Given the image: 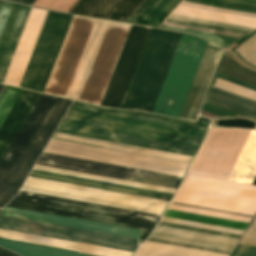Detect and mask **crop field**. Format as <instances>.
I'll return each instance as SVG.
<instances>
[{
  "label": "crop field",
  "mask_w": 256,
  "mask_h": 256,
  "mask_svg": "<svg viewBox=\"0 0 256 256\" xmlns=\"http://www.w3.org/2000/svg\"><path fill=\"white\" fill-rule=\"evenodd\" d=\"M129 28L73 18L44 91L100 103Z\"/></svg>",
  "instance_id": "obj_1"
},
{
  "label": "crop field",
  "mask_w": 256,
  "mask_h": 256,
  "mask_svg": "<svg viewBox=\"0 0 256 256\" xmlns=\"http://www.w3.org/2000/svg\"><path fill=\"white\" fill-rule=\"evenodd\" d=\"M22 191L161 215L167 203L158 200L28 177ZM7 205L151 231L158 215L22 192Z\"/></svg>",
  "instance_id": "obj_2"
},
{
  "label": "crop field",
  "mask_w": 256,
  "mask_h": 256,
  "mask_svg": "<svg viewBox=\"0 0 256 256\" xmlns=\"http://www.w3.org/2000/svg\"><path fill=\"white\" fill-rule=\"evenodd\" d=\"M57 131L194 156L206 127L73 103Z\"/></svg>",
  "instance_id": "obj_3"
},
{
  "label": "crop field",
  "mask_w": 256,
  "mask_h": 256,
  "mask_svg": "<svg viewBox=\"0 0 256 256\" xmlns=\"http://www.w3.org/2000/svg\"><path fill=\"white\" fill-rule=\"evenodd\" d=\"M47 12L31 9L3 83L20 86ZM70 16L48 12L20 87L42 91Z\"/></svg>",
  "instance_id": "obj_4"
},
{
  "label": "crop field",
  "mask_w": 256,
  "mask_h": 256,
  "mask_svg": "<svg viewBox=\"0 0 256 256\" xmlns=\"http://www.w3.org/2000/svg\"><path fill=\"white\" fill-rule=\"evenodd\" d=\"M251 130L210 128L189 174L227 180ZM256 175V132L251 131L228 180L251 184Z\"/></svg>",
  "instance_id": "obj_5"
},
{
  "label": "crop field",
  "mask_w": 256,
  "mask_h": 256,
  "mask_svg": "<svg viewBox=\"0 0 256 256\" xmlns=\"http://www.w3.org/2000/svg\"><path fill=\"white\" fill-rule=\"evenodd\" d=\"M181 34L151 29L121 108L152 112Z\"/></svg>",
  "instance_id": "obj_6"
},
{
  "label": "crop field",
  "mask_w": 256,
  "mask_h": 256,
  "mask_svg": "<svg viewBox=\"0 0 256 256\" xmlns=\"http://www.w3.org/2000/svg\"><path fill=\"white\" fill-rule=\"evenodd\" d=\"M182 1L256 15V5H252V4H256V0H236V1H241V2L252 3V4L241 3V2L230 1V0H182ZM179 7L174 9L170 14L256 29V22H252L255 19L252 20V21H247L250 18L247 19V20H242L245 17L242 18V19H237L239 16L237 18H231L234 15L231 16V17H226L229 14L226 15V16H221L222 14L221 15H216L218 12L216 14H211L213 11L211 13H205L208 10L205 11V12H200L202 9L200 11H195L197 8L195 10H190L192 7L190 9H184L186 6L184 8H179ZM172 15H169V18L185 20V21H190V22H195V23H200V24H205V25H211V26H216V27H221V28H226V29H231V30H237V31H242V32H247V33H250V32L253 31L252 29L240 28V27H235V26L223 25V24H218V23L206 22V21L189 19V18L172 16ZM169 18H166L165 21L166 22L177 23V24H182V25H188V26H193V27L209 29V30H215V31H220V32H226V33H231V34H236V35H242V36L247 35V33L231 31V30H226V29H221V28H216V27H211V26H205V25H200V24H195V23H190V22H185V21H179V20H174V19H169ZM166 22L161 23V25L162 26L179 28V29L191 30V31H196V32H202V33H207V34L219 35V36H224V37L236 38V39L242 38V36H236V35L220 33V32H215V31H209V30L193 28V27H188V26H182V25L166 23ZM162 26H159V27L160 28H165V29L185 31V30H179V29L162 27ZM191 31H185V32H190V33H193L195 35L206 38V39H208V40H210V41H212V42H214V43H216V44H218V45H220L224 48L228 47L229 45H231L232 43L237 41L236 39H230V38H224V37H219V36L207 35V34H202V33L191 32Z\"/></svg>",
  "instance_id": "obj_7"
},
{
  "label": "crop field",
  "mask_w": 256,
  "mask_h": 256,
  "mask_svg": "<svg viewBox=\"0 0 256 256\" xmlns=\"http://www.w3.org/2000/svg\"><path fill=\"white\" fill-rule=\"evenodd\" d=\"M173 201L254 215L256 186L186 175Z\"/></svg>",
  "instance_id": "obj_8"
},
{
  "label": "crop field",
  "mask_w": 256,
  "mask_h": 256,
  "mask_svg": "<svg viewBox=\"0 0 256 256\" xmlns=\"http://www.w3.org/2000/svg\"><path fill=\"white\" fill-rule=\"evenodd\" d=\"M206 43L182 34L152 113L178 117Z\"/></svg>",
  "instance_id": "obj_9"
},
{
  "label": "crop field",
  "mask_w": 256,
  "mask_h": 256,
  "mask_svg": "<svg viewBox=\"0 0 256 256\" xmlns=\"http://www.w3.org/2000/svg\"><path fill=\"white\" fill-rule=\"evenodd\" d=\"M0 229L133 252L138 241L0 215Z\"/></svg>",
  "instance_id": "obj_10"
},
{
  "label": "crop field",
  "mask_w": 256,
  "mask_h": 256,
  "mask_svg": "<svg viewBox=\"0 0 256 256\" xmlns=\"http://www.w3.org/2000/svg\"><path fill=\"white\" fill-rule=\"evenodd\" d=\"M37 164L173 189H176L178 183L181 180L180 177L168 176L45 153L41 155Z\"/></svg>",
  "instance_id": "obj_11"
},
{
  "label": "crop field",
  "mask_w": 256,
  "mask_h": 256,
  "mask_svg": "<svg viewBox=\"0 0 256 256\" xmlns=\"http://www.w3.org/2000/svg\"><path fill=\"white\" fill-rule=\"evenodd\" d=\"M72 101L57 98L39 130L0 192V208L18 192L45 144L54 132Z\"/></svg>",
  "instance_id": "obj_12"
},
{
  "label": "crop field",
  "mask_w": 256,
  "mask_h": 256,
  "mask_svg": "<svg viewBox=\"0 0 256 256\" xmlns=\"http://www.w3.org/2000/svg\"><path fill=\"white\" fill-rule=\"evenodd\" d=\"M158 225L179 228V229L192 230V231H198V232H204V233H210V234L229 236V237H235V238L240 237L238 235L214 232V231H209V230L191 228V227L162 223V222H160ZM161 226H157L155 231L152 233V236L149 238L170 241V242H176V243H182V244H188V245L199 246V247H205V248H211V249H217V250H223V251H229V252L232 251L233 247H235V245L238 241V239H235V238L210 235V234H204V233H198V232H192V231H186V230H179V229H173V228H167V227H161ZM152 239H147V240L230 255L229 252L193 247V246H188V245H182V244H176V243H170V242H164V241H158V240H152Z\"/></svg>",
  "instance_id": "obj_13"
},
{
  "label": "crop field",
  "mask_w": 256,
  "mask_h": 256,
  "mask_svg": "<svg viewBox=\"0 0 256 256\" xmlns=\"http://www.w3.org/2000/svg\"><path fill=\"white\" fill-rule=\"evenodd\" d=\"M149 28L132 25L101 106L118 108Z\"/></svg>",
  "instance_id": "obj_14"
},
{
  "label": "crop field",
  "mask_w": 256,
  "mask_h": 256,
  "mask_svg": "<svg viewBox=\"0 0 256 256\" xmlns=\"http://www.w3.org/2000/svg\"><path fill=\"white\" fill-rule=\"evenodd\" d=\"M56 98L40 94L16 136L0 160V190L38 130Z\"/></svg>",
  "instance_id": "obj_15"
},
{
  "label": "crop field",
  "mask_w": 256,
  "mask_h": 256,
  "mask_svg": "<svg viewBox=\"0 0 256 256\" xmlns=\"http://www.w3.org/2000/svg\"><path fill=\"white\" fill-rule=\"evenodd\" d=\"M171 204L179 205V206H185V207L198 208V209L211 210V211H217V212L230 213V214H237V213H232V212L220 211V210H215V209H209V208L186 205V204H180V203H174V202H171ZM173 205H169L168 209L169 210H175V211H181V212H187V213H193V214H199V215H205V216H210V217H216V218L246 222V223H249V221L251 220V218H249V217H252V216L243 215V214H237V215H243V216H249V217L230 215V214H224V213H217V212L198 210V209H192V208H185V207H179V206H173ZM169 210H166V212L164 214L165 217L189 220V221H194V222L212 224V225L235 228V229H241V230H244V228L247 225L246 223H240V222L210 218V217H205V216H199V215H193V214H187V213H181V212H175V211H169ZM165 217H162V219H161L162 222L186 225V226H191V227L209 229V230L232 233V234H238V235H241V233H242L241 230L217 227V226H212V225L194 223V222L171 219V218H165Z\"/></svg>",
  "instance_id": "obj_16"
},
{
  "label": "crop field",
  "mask_w": 256,
  "mask_h": 256,
  "mask_svg": "<svg viewBox=\"0 0 256 256\" xmlns=\"http://www.w3.org/2000/svg\"><path fill=\"white\" fill-rule=\"evenodd\" d=\"M31 8L0 0V83Z\"/></svg>",
  "instance_id": "obj_17"
},
{
  "label": "crop field",
  "mask_w": 256,
  "mask_h": 256,
  "mask_svg": "<svg viewBox=\"0 0 256 256\" xmlns=\"http://www.w3.org/2000/svg\"><path fill=\"white\" fill-rule=\"evenodd\" d=\"M222 48L207 43L178 118L194 121Z\"/></svg>",
  "instance_id": "obj_18"
},
{
  "label": "crop field",
  "mask_w": 256,
  "mask_h": 256,
  "mask_svg": "<svg viewBox=\"0 0 256 256\" xmlns=\"http://www.w3.org/2000/svg\"><path fill=\"white\" fill-rule=\"evenodd\" d=\"M2 215L14 216L19 218H25L30 220L42 221L47 223H53L58 225L70 226L75 228H81L86 230L98 231L103 233H109L114 235L126 236L131 238H140V230L122 228L117 226L99 224L94 222L76 220L71 218L53 216L48 214L30 212L25 210L13 209L4 207L1 211Z\"/></svg>",
  "instance_id": "obj_19"
},
{
  "label": "crop field",
  "mask_w": 256,
  "mask_h": 256,
  "mask_svg": "<svg viewBox=\"0 0 256 256\" xmlns=\"http://www.w3.org/2000/svg\"><path fill=\"white\" fill-rule=\"evenodd\" d=\"M144 0H80L70 13L126 22Z\"/></svg>",
  "instance_id": "obj_20"
},
{
  "label": "crop field",
  "mask_w": 256,
  "mask_h": 256,
  "mask_svg": "<svg viewBox=\"0 0 256 256\" xmlns=\"http://www.w3.org/2000/svg\"><path fill=\"white\" fill-rule=\"evenodd\" d=\"M39 94L23 90L0 128V159L18 131Z\"/></svg>",
  "instance_id": "obj_21"
},
{
  "label": "crop field",
  "mask_w": 256,
  "mask_h": 256,
  "mask_svg": "<svg viewBox=\"0 0 256 256\" xmlns=\"http://www.w3.org/2000/svg\"><path fill=\"white\" fill-rule=\"evenodd\" d=\"M207 103L256 119V101L211 87Z\"/></svg>",
  "instance_id": "obj_22"
},
{
  "label": "crop field",
  "mask_w": 256,
  "mask_h": 256,
  "mask_svg": "<svg viewBox=\"0 0 256 256\" xmlns=\"http://www.w3.org/2000/svg\"><path fill=\"white\" fill-rule=\"evenodd\" d=\"M53 138L60 139V140H66V141H72V142H78V143H83V144L107 147V148H112V149L130 151V152H135V153L159 156V157H164V158L188 161V162H190L192 159L191 156H185V155L163 152V151H158V150H152V149H147V148H141V147H136V146L124 145V144H119V143H113V142L102 141V140L91 139V138H86V137L58 133V132H55Z\"/></svg>",
  "instance_id": "obj_23"
},
{
  "label": "crop field",
  "mask_w": 256,
  "mask_h": 256,
  "mask_svg": "<svg viewBox=\"0 0 256 256\" xmlns=\"http://www.w3.org/2000/svg\"><path fill=\"white\" fill-rule=\"evenodd\" d=\"M134 256H227L145 241Z\"/></svg>",
  "instance_id": "obj_24"
},
{
  "label": "crop field",
  "mask_w": 256,
  "mask_h": 256,
  "mask_svg": "<svg viewBox=\"0 0 256 256\" xmlns=\"http://www.w3.org/2000/svg\"><path fill=\"white\" fill-rule=\"evenodd\" d=\"M151 0H145L142 5L135 11V13L130 17L132 19H136L138 15L143 11V9L149 4ZM160 0H152L150 4L144 9V11L139 15L137 19L143 20L146 15L154 8V6L159 2ZM167 0H161L155 8L147 15V17L144 20H150L152 16L160 9V7L166 2ZM173 0H168L161 9L153 16V18L150 21H155L158 16L166 9V7L172 2ZM180 0H174L167 9L159 16V18L156 20L158 22H161L165 16L175 7V5ZM167 17V16H166ZM129 19L127 22L129 23H136V24H143V25H150V26H157L159 23L156 22H146V21H139V20H132Z\"/></svg>",
  "instance_id": "obj_25"
},
{
  "label": "crop field",
  "mask_w": 256,
  "mask_h": 256,
  "mask_svg": "<svg viewBox=\"0 0 256 256\" xmlns=\"http://www.w3.org/2000/svg\"><path fill=\"white\" fill-rule=\"evenodd\" d=\"M0 245L22 256H92L4 239H0Z\"/></svg>",
  "instance_id": "obj_26"
},
{
  "label": "crop field",
  "mask_w": 256,
  "mask_h": 256,
  "mask_svg": "<svg viewBox=\"0 0 256 256\" xmlns=\"http://www.w3.org/2000/svg\"><path fill=\"white\" fill-rule=\"evenodd\" d=\"M34 169L35 170H41V171H47V172H53V173H59V174H65V175H70V176L94 179V180H99V181H105V182L129 185V186H134V187H140V188L164 191V192H167V193H170V194H173L174 191H175L173 189L161 188V187H156V186H150V185H145V184L133 183V182H128V181H122V180H117V179L105 178V177H100V176H94V175H89V174L77 173V172L66 171V170L55 169V168H49V167L38 166V165H35Z\"/></svg>",
  "instance_id": "obj_27"
},
{
  "label": "crop field",
  "mask_w": 256,
  "mask_h": 256,
  "mask_svg": "<svg viewBox=\"0 0 256 256\" xmlns=\"http://www.w3.org/2000/svg\"><path fill=\"white\" fill-rule=\"evenodd\" d=\"M22 90L6 86L0 95V126L7 117Z\"/></svg>",
  "instance_id": "obj_28"
},
{
  "label": "crop field",
  "mask_w": 256,
  "mask_h": 256,
  "mask_svg": "<svg viewBox=\"0 0 256 256\" xmlns=\"http://www.w3.org/2000/svg\"><path fill=\"white\" fill-rule=\"evenodd\" d=\"M233 50L248 63L256 66V33L236 46Z\"/></svg>",
  "instance_id": "obj_29"
},
{
  "label": "crop field",
  "mask_w": 256,
  "mask_h": 256,
  "mask_svg": "<svg viewBox=\"0 0 256 256\" xmlns=\"http://www.w3.org/2000/svg\"><path fill=\"white\" fill-rule=\"evenodd\" d=\"M32 173H33V174H39V175H45V176L56 177V178L74 180V181H79V182L91 183V184H96V185L114 187V188H119V189L137 191V192H142V193L160 195V196H163V197H164V195H165L164 193H159V192L147 191V190H142V189H136V188H131V187L119 186V185H114V184H108V183H103V182L91 181V180H86V179H80V178L69 177V176H63V175L52 174V173L41 172V171H35V170H33Z\"/></svg>",
  "instance_id": "obj_30"
},
{
  "label": "crop field",
  "mask_w": 256,
  "mask_h": 256,
  "mask_svg": "<svg viewBox=\"0 0 256 256\" xmlns=\"http://www.w3.org/2000/svg\"><path fill=\"white\" fill-rule=\"evenodd\" d=\"M239 243L256 246V219L247 230L244 231Z\"/></svg>",
  "instance_id": "obj_31"
},
{
  "label": "crop field",
  "mask_w": 256,
  "mask_h": 256,
  "mask_svg": "<svg viewBox=\"0 0 256 256\" xmlns=\"http://www.w3.org/2000/svg\"><path fill=\"white\" fill-rule=\"evenodd\" d=\"M230 256H256V247L237 244Z\"/></svg>",
  "instance_id": "obj_32"
},
{
  "label": "crop field",
  "mask_w": 256,
  "mask_h": 256,
  "mask_svg": "<svg viewBox=\"0 0 256 256\" xmlns=\"http://www.w3.org/2000/svg\"><path fill=\"white\" fill-rule=\"evenodd\" d=\"M216 78L218 79H221V80H224V81H227L229 83H232V84H235V85H238V86H241V87H244V88H247L249 90H252V91H255L256 92V87L255 86H252L250 84H247V83H244V82H241V81H238V80H235V79H232V78H229L227 76H224V75H221V74H216L215 76V79H214V82L216 80ZM214 82L212 85H214Z\"/></svg>",
  "instance_id": "obj_33"
},
{
  "label": "crop field",
  "mask_w": 256,
  "mask_h": 256,
  "mask_svg": "<svg viewBox=\"0 0 256 256\" xmlns=\"http://www.w3.org/2000/svg\"><path fill=\"white\" fill-rule=\"evenodd\" d=\"M30 175L31 176H37V177H42V178H48V179H53V180L65 181V182H70V183H76V184H81V185H87V186H92V187H98V188H103V189H109V190H114V191H120V192H125V193H131V194H137V195H142V196H148V197H153V198L161 199V197H155V196L144 195V194H139V193L127 192V191H122V190H116V189L105 188V187H100V186H94V185H89V184H83V183H78V182H72V181H67V180L55 179V178L44 177V176H39V175H33V174H30Z\"/></svg>",
  "instance_id": "obj_34"
},
{
  "label": "crop field",
  "mask_w": 256,
  "mask_h": 256,
  "mask_svg": "<svg viewBox=\"0 0 256 256\" xmlns=\"http://www.w3.org/2000/svg\"><path fill=\"white\" fill-rule=\"evenodd\" d=\"M10 1L24 3V4H28V5H31L34 2V0H10Z\"/></svg>",
  "instance_id": "obj_35"
},
{
  "label": "crop field",
  "mask_w": 256,
  "mask_h": 256,
  "mask_svg": "<svg viewBox=\"0 0 256 256\" xmlns=\"http://www.w3.org/2000/svg\"><path fill=\"white\" fill-rule=\"evenodd\" d=\"M0 256H16V255L11 254V253H7V252H4V251L0 250Z\"/></svg>",
  "instance_id": "obj_36"
},
{
  "label": "crop field",
  "mask_w": 256,
  "mask_h": 256,
  "mask_svg": "<svg viewBox=\"0 0 256 256\" xmlns=\"http://www.w3.org/2000/svg\"><path fill=\"white\" fill-rule=\"evenodd\" d=\"M252 184L256 185V177H255V179H254V181H253V183H252Z\"/></svg>",
  "instance_id": "obj_37"
},
{
  "label": "crop field",
  "mask_w": 256,
  "mask_h": 256,
  "mask_svg": "<svg viewBox=\"0 0 256 256\" xmlns=\"http://www.w3.org/2000/svg\"><path fill=\"white\" fill-rule=\"evenodd\" d=\"M2 86L0 85V90H1Z\"/></svg>",
  "instance_id": "obj_38"
}]
</instances>
